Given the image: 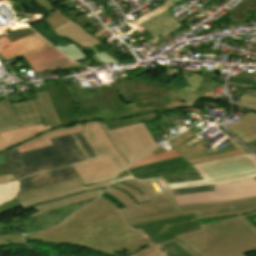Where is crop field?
<instances>
[{"label": "crop field", "mask_w": 256, "mask_h": 256, "mask_svg": "<svg viewBox=\"0 0 256 256\" xmlns=\"http://www.w3.org/2000/svg\"><path fill=\"white\" fill-rule=\"evenodd\" d=\"M35 100L12 104L18 121L42 116L45 126L62 127L47 91L34 93Z\"/></svg>", "instance_id": "14"}, {"label": "crop field", "mask_w": 256, "mask_h": 256, "mask_svg": "<svg viewBox=\"0 0 256 256\" xmlns=\"http://www.w3.org/2000/svg\"><path fill=\"white\" fill-rule=\"evenodd\" d=\"M19 192V180L0 184V205L15 198Z\"/></svg>", "instance_id": "27"}, {"label": "crop field", "mask_w": 256, "mask_h": 256, "mask_svg": "<svg viewBox=\"0 0 256 256\" xmlns=\"http://www.w3.org/2000/svg\"><path fill=\"white\" fill-rule=\"evenodd\" d=\"M22 54L34 72L77 66L36 33L14 44L0 48L5 60Z\"/></svg>", "instance_id": "9"}, {"label": "crop field", "mask_w": 256, "mask_h": 256, "mask_svg": "<svg viewBox=\"0 0 256 256\" xmlns=\"http://www.w3.org/2000/svg\"><path fill=\"white\" fill-rule=\"evenodd\" d=\"M249 147H251L256 152V143L249 145Z\"/></svg>", "instance_id": "49"}, {"label": "crop field", "mask_w": 256, "mask_h": 256, "mask_svg": "<svg viewBox=\"0 0 256 256\" xmlns=\"http://www.w3.org/2000/svg\"><path fill=\"white\" fill-rule=\"evenodd\" d=\"M50 126L37 124L30 127L0 133V153L9 150L43 132L50 130Z\"/></svg>", "instance_id": "20"}, {"label": "crop field", "mask_w": 256, "mask_h": 256, "mask_svg": "<svg viewBox=\"0 0 256 256\" xmlns=\"http://www.w3.org/2000/svg\"><path fill=\"white\" fill-rule=\"evenodd\" d=\"M53 30L57 36H67L82 47H91L100 43V41L81 28L73 20H69Z\"/></svg>", "instance_id": "23"}, {"label": "crop field", "mask_w": 256, "mask_h": 256, "mask_svg": "<svg viewBox=\"0 0 256 256\" xmlns=\"http://www.w3.org/2000/svg\"><path fill=\"white\" fill-rule=\"evenodd\" d=\"M9 179H12V174L11 175H5V176H0V183L1 182H7Z\"/></svg>", "instance_id": "46"}, {"label": "crop field", "mask_w": 256, "mask_h": 256, "mask_svg": "<svg viewBox=\"0 0 256 256\" xmlns=\"http://www.w3.org/2000/svg\"><path fill=\"white\" fill-rule=\"evenodd\" d=\"M183 76L189 86L176 91H169L158 85L129 80L136 102L124 105L133 113L179 106L193 107L202 98L227 99L209 93L214 83L213 80L186 71H183Z\"/></svg>", "instance_id": "5"}, {"label": "crop field", "mask_w": 256, "mask_h": 256, "mask_svg": "<svg viewBox=\"0 0 256 256\" xmlns=\"http://www.w3.org/2000/svg\"><path fill=\"white\" fill-rule=\"evenodd\" d=\"M106 192L126 207L122 208L121 211L127 219L178 209L217 206L256 200V197H252L226 202L177 206L169 188L161 178L147 181L128 180L110 186Z\"/></svg>", "instance_id": "4"}, {"label": "crop field", "mask_w": 256, "mask_h": 256, "mask_svg": "<svg viewBox=\"0 0 256 256\" xmlns=\"http://www.w3.org/2000/svg\"><path fill=\"white\" fill-rule=\"evenodd\" d=\"M85 186L114 179L121 172L108 155H102L73 165Z\"/></svg>", "instance_id": "15"}, {"label": "crop field", "mask_w": 256, "mask_h": 256, "mask_svg": "<svg viewBox=\"0 0 256 256\" xmlns=\"http://www.w3.org/2000/svg\"><path fill=\"white\" fill-rule=\"evenodd\" d=\"M214 191L174 196L178 205L225 201L256 196L254 178L213 186Z\"/></svg>", "instance_id": "11"}, {"label": "crop field", "mask_w": 256, "mask_h": 256, "mask_svg": "<svg viewBox=\"0 0 256 256\" xmlns=\"http://www.w3.org/2000/svg\"><path fill=\"white\" fill-rule=\"evenodd\" d=\"M71 135L52 139L54 146L18 154L17 148L9 150L15 180L33 173L60 168L81 160V153Z\"/></svg>", "instance_id": "6"}, {"label": "crop field", "mask_w": 256, "mask_h": 256, "mask_svg": "<svg viewBox=\"0 0 256 256\" xmlns=\"http://www.w3.org/2000/svg\"><path fill=\"white\" fill-rule=\"evenodd\" d=\"M132 228L143 229L158 245L129 256H197L192 250L173 238L177 234L199 229L193 214L175 219L134 225Z\"/></svg>", "instance_id": "7"}, {"label": "crop field", "mask_w": 256, "mask_h": 256, "mask_svg": "<svg viewBox=\"0 0 256 256\" xmlns=\"http://www.w3.org/2000/svg\"><path fill=\"white\" fill-rule=\"evenodd\" d=\"M75 136L77 137L81 145L84 147V149L86 150L90 158L95 157L94 153L92 152V150L90 149V147L88 146V144L86 143L82 135L80 133H77L75 134Z\"/></svg>", "instance_id": "40"}, {"label": "crop field", "mask_w": 256, "mask_h": 256, "mask_svg": "<svg viewBox=\"0 0 256 256\" xmlns=\"http://www.w3.org/2000/svg\"><path fill=\"white\" fill-rule=\"evenodd\" d=\"M202 121L198 120L187 132L168 141L181 157L129 169L128 172L137 179L162 176L167 183L197 180L201 178L190 164L246 153L244 148L231 137H229L231 142L228 145L213 153L204 147L208 142L203 138V142L190 148L182 144L198 133L195 128L201 125Z\"/></svg>", "instance_id": "3"}, {"label": "crop field", "mask_w": 256, "mask_h": 256, "mask_svg": "<svg viewBox=\"0 0 256 256\" xmlns=\"http://www.w3.org/2000/svg\"><path fill=\"white\" fill-rule=\"evenodd\" d=\"M255 74L240 72L237 78L231 77L230 83L239 86H256V81L253 80Z\"/></svg>", "instance_id": "30"}, {"label": "crop field", "mask_w": 256, "mask_h": 256, "mask_svg": "<svg viewBox=\"0 0 256 256\" xmlns=\"http://www.w3.org/2000/svg\"><path fill=\"white\" fill-rule=\"evenodd\" d=\"M64 121H65V123H66V125H67V126H71V125H73V124H76V123H77V121H76L75 117H72V118L66 119V120H64Z\"/></svg>", "instance_id": "45"}, {"label": "crop field", "mask_w": 256, "mask_h": 256, "mask_svg": "<svg viewBox=\"0 0 256 256\" xmlns=\"http://www.w3.org/2000/svg\"><path fill=\"white\" fill-rule=\"evenodd\" d=\"M64 13L61 11H58L52 15H50L45 21L50 25V27L53 29L57 27L58 25L64 23L65 21L69 20L66 17H64Z\"/></svg>", "instance_id": "34"}, {"label": "crop field", "mask_w": 256, "mask_h": 256, "mask_svg": "<svg viewBox=\"0 0 256 256\" xmlns=\"http://www.w3.org/2000/svg\"><path fill=\"white\" fill-rule=\"evenodd\" d=\"M152 156H154V154H152V153L150 152L148 155H146V156H144V157H142V158L138 159L137 161H140V160H143V159H146V158L152 157ZM137 161H135V162H137ZM133 163H134V162H133Z\"/></svg>", "instance_id": "47"}, {"label": "crop field", "mask_w": 256, "mask_h": 256, "mask_svg": "<svg viewBox=\"0 0 256 256\" xmlns=\"http://www.w3.org/2000/svg\"><path fill=\"white\" fill-rule=\"evenodd\" d=\"M250 214L198 220L201 229L177 235L184 245L198 256H240L256 250V227L245 217Z\"/></svg>", "instance_id": "2"}, {"label": "crop field", "mask_w": 256, "mask_h": 256, "mask_svg": "<svg viewBox=\"0 0 256 256\" xmlns=\"http://www.w3.org/2000/svg\"><path fill=\"white\" fill-rule=\"evenodd\" d=\"M101 193H103V191L95 190V191L87 192V193L77 195V196H74L71 198L62 199V200H58V201H54V202L36 206L35 210L37 212L34 213L33 215H31V219H33L34 217H36L38 215H41V214L49 212L51 210L60 208L65 205L77 203V202L84 201V200L91 199V198H95L98 195H100Z\"/></svg>", "instance_id": "25"}, {"label": "crop field", "mask_w": 256, "mask_h": 256, "mask_svg": "<svg viewBox=\"0 0 256 256\" xmlns=\"http://www.w3.org/2000/svg\"><path fill=\"white\" fill-rule=\"evenodd\" d=\"M213 190L212 186L172 190L174 195Z\"/></svg>", "instance_id": "37"}, {"label": "crop field", "mask_w": 256, "mask_h": 256, "mask_svg": "<svg viewBox=\"0 0 256 256\" xmlns=\"http://www.w3.org/2000/svg\"><path fill=\"white\" fill-rule=\"evenodd\" d=\"M73 137L75 139V145L77 146V148L80 150V152L82 153V155L84 156L85 159H88L89 156L87 155V153L85 152V150L83 149V147L80 145V143L78 142V140L76 139V137L73 134Z\"/></svg>", "instance_id": "43"}, {"label": "crop field", "mask_w": 256, "mask_h": 256, "mask_svg": "<svg viewBox=\"0 0 256 256\" xmlns=\"http://www.w3.org/2000/svg\"><path fill=\"white\" fill-rule=\"evenodd\" d=\"M56 48L75 61L86 58V56L74 44L66 47L56 46Z\"/></svg>", "instance_id": "31"}, {"label": "crop field", "mask_w": 256, "mask_h": 256, "mask_svg": "<svg viewBox=\"0 0 256 256\" xmlns=\"http://www.w3.org/2000/svg\"><path fill=\"white\" fill-rule=\"evenodd\" d=\"M203 180L168 184L170 189L199 187L256 177V159L242 154L192 165Z\"/></svg>", "instance_id": "8"}, {"label": "crop field", "mask_w": 256, "mask_h": 256, "mask_svg": "<svg viewBox=\"0 0 256 256\" xmlns=\"http://www.w3.org/2000/svg\"><path fill=\"white\" fill-rule=\"evenodd\" d=\"M13 173L10 165V160L8 152H3V155L0 154V175Z\"/></svg>", "instance_id": "35"}, {"label": "crop field", "mask_w": 256, "mask_h": 256, "mask_svg": "<svg viewBox=\"0 0 256 256\" xmlns=\"http://www.w3.org/2000/svg\"><path fill=\"white\" fill-rule=\"evenodd\" d=\"M27 236L41 242L77 245L111 256H126L155 245L143 231L130 228L122 213L100 197L56 228Z\"/></svg>", "instance_id": "1"}, {"label": "crop field", "mask_w": 256, "mask_h": 256, "mask_svg": "<svg viewBox=\"0 0 256 256\" xmlns=\"http://www.w3.org/2000/svg\"><path fill=\"white\" fill-rule=\"evenodd\" d=\"M251 19H256V6L251 11V13L245 18L243 22L248 23Z\"/></svg>", "instance_id": "44"}, {"label": "crop field", "mask_w": 256, "mask_h": 256, "mask_svg": "<svg viewBox=\"0 0 256 256\" xmlns=\"http://www.w3.org/2000/svg\"><path fill=\"white\" fill-rule=\"evenodd\" d=\"M18 122L6 98L0 100V126Z\"/></svg>", "instance_id": "28"}, {"label": "crop field", "mask_w": 256, "mask_h": 256, "mask_svg": "<svg viewBox=\"0 0 256 256\" xmlns=\"http://www.w3.org/2000/svg\"><path fill=\"white\" fill-rule=\"evenodd\" d=\"M131 178L133 177H131L129 173L125 170L123 173L119 174V176L114 180V182L111 185L131 179Z\"/></svg>", "instance_id": "41"}, {"label": "crop field", "mask_w": 256, "mask_h": 256, "mask_svg": "<svg viewBox=\"0 0 256 256\" xmlns=\"http://www.w3.org/2000/svg\"><path fill=\"white\" fill-rule=\"evenodd\" d=\"M130 117L131 113L122 105L105 111L79 116L78 119L80 122L99 120L101 124L105 123L111 130L133 124Z\"/></svg>", "instance_id": "19"}, {"label": "crop field", "mask_w": 256, "mask_h": 256, "mask_svg": "<svg viewBox=\"0 0 256 256\" xmlns=\"http://www.w3.org/2000/svg\"><path fill=\"white\" fill-rule=\"evenodd\" d=\"M142 25L151 33L146 42L155 44L161 36L176 30L183 26L167 11L142 23Z\"/></svg>", "instance_id": "21"}, {"label": "crop field", "mask_w": 256, "mask_h": 256, "mask_svg": "<svg viewBox=\"0 0 256 256\" xmlns=\"http://www.w3.org/2000/svg\"><path fill=\"white\" fill-rule=\"evenodd\" d=\"M35 32L28 30V29H21L19 31L12 32L8 35H5L10 43H14L20 39H23Z\"/></svg>", "instance_id": "36"}, {"label": "crop field", "mask_w": 256, "mask_h": 256, "mask_svg": "<svg viewBox=\"0 0 256 256\" xmlns=\"http://www.w3.org/2000/svg\"><path fill=\"white\" fill-rule=\"evenodd\" d=\"M76 90L85 109L97 106L99 111H101L123 104L114 83H110L104 87Z\"/></svg>", "instance_id": "17"}, {"label": "crop field", "mask_w": 256, "mask_h": 256, "mask_svg": "<svg viewBox=\"0 0 256 256\" xmlns=\"http://www.w3.org/2000/svg\"><path fill=\"white\" fill-rule=\"evenodd\" d=\"M179 0H167L163 5L153 10L157 15L171 8L174 4H176Z\"/></svg>", "instance_id": "38"}, {"label": "crop field", "mask_w": 256, "mask_h": 256, "mask_svg": "<svg viewBox=\"0 0 256 256\" xmlns=\"http://www.w3.org/2000/svg\"><path fill=\"white\" fill-rule=\"evenodd\" d=\"M106 31H107V30L104 28V29H102L100 32L94 34V36L99 37L100 35H102V34H103L104 32H106Z\"/></svg>", "instance_id": "48"}, {"label": "crop field", "mask_w": 256, "mask_h": 256, "mask_svg": "<svg viewBox=\"0 0 256 256\" xmlns=\"http://www.w3.org/2000/svg\"><path fill=\"white\" fill-rule=\"evenodd\" d=\"M82 127H83V123H80L77 125H73L71 127L56 128L54 130H50V131L43 133V134L31 139L30 141L18 146L17 147L18 152L21 153V152L38 149V148L51 146L52 143H51L50 139L68 135V134H72V133L81 132Z\"/></svg>", "instance_id": "22"}, {"label": "crop field", "mask_w": 256, "mask_h": 256, "mask_svg": "<svg viewBox=\"0 0 256 256\" xmlns=\"http://www.w3.org/2000/svg\"><path fill=\"white\" fill-rule=\"evenodd\" d=\"M174 111H188V109L175 110V108H171V109L154 110V111H147V112H141V113H133L131 119L135 124L138 122H145V121L157 119L158 116L156 113L174 112Z\"/></svg>", "instance_id": "29"}, {"label": "crop field", "mask_w": 256, "mask_h": 256, "mask_svg": "<svg viewBox=\"0 0 256 256\" xmlns=\"http://www.w3.org/2000/svg\"><path fill=\"white\" fill-rule=\"evenodd\" d=\"M102 127L128 163L158 146L143 123L125 126L112 131H109L105 124Z\"/></svg>", "instance_id": "10"}, {"label": "crop field", "mask_w": 256, "mask_h": 256, "mask_svg": "<svg viewBox=\"0 0 256 256\" xmlns=\"http://www.w3.org/2000/svg\"><path fill=\"white\" fill-rule=\"evenodd\" d=\"M242 120L226 128L247 145L256 142V113H248Z\"/></svg>", "instance_id": "24"}, {"label": "crop field", "mask_w": 256, "mask_h": 256, "mask_svg": "<svg viewBox=\"0 0 256 256\" xmlns=\"http://www.w3.org/2000/svg\"><path fill=\"white\" fill-rule=\"evenodd\" d=\"M97 58H99L102 62L104 63H117L116 61H114L112 58H110L107 54H105L104 52H101L97 55H95Z\"/></svg>", "instance_id": "42"}, {"label": "crop field", "mask_w": 256, "mask_h": 256, "mask_svg": "<svg viewBox=\"0 0 256 256\" xmlns=\"http://www.w3.org/2000/svg\"><path fill=\"white\" fill-rule=\"evenodd\" d=\"M12 244H23V238L18 234L0 235V247L12 245Z\"/></svg>", "instance_id": "33"}, {"label": "crop field", "mask_w": 256, "mask_h": 256, "mask_svg": "<svg viewBox=\"0 0 256 256\" xmlns=\"http://www.w3.org/2000/svg\"><path fill=\"white\" fill-rule=\"evenodd\" d=\"M77 177V174L71 166L53 171L38 173L20 180V192Z\"/></svg>", "instance_id": "18"}, {"label": "crop field", "mask_w": 256, "mask_h": 256, "mask_svg": "<svg viewBox=\"0 0 256 256\" xmlns=\"http://www.w3.org/2000/svg\"><path fill=\"white\" fill-rule=\"evenodd\" d=\"M254 210H256V201H251V202L230 204V205L217 206V207L179 210L175 212H169V213L131 219V220H128V222L130 223V225H133V224L150 222L154 220L174 218V217L191 214V213H194L197 220L210 219V218L242 215V214L250 213Z\"/></svg>", "instance_id": "12"}, {"label": "crop field", "mask_w": 256, "mask_h": 256, "mask_svg": "<svg viewBox=\"0 0 256 256\" xmlns=\"http://www.w3.org/2000/svg\"><path fill=\"white\" fill-rule=\"evenodd\" d=\"M82 135L96 156L108 153L120 169L127 167L128 163L110 141L98 121L84 123Z\"/></svg>", "instance_id": "16"}, {"label": "crop field", "mask_w": 256, "mask_h": 256, "mask_svg": "<svg viewBox=\"0 0 256 256\" xmlns=\"http://www.w3.org/2000/svg\"><path fill=\"white\" fill-rule=\"evenodd\" d=\"M31 1H33L36 4L40 5L41 7H43L48 12L57 10V8L55 6H53V5H51L50 2L47 1V0H31Z\"/></svg>", "instance_id": "39"}, {"label": "crop field", "mask_w": 256, "mask_h": 256, "mask_svg": "<svg viewBox=\"0 0 256 256\" xmlns=\"http://www.w3.org/2000/svg\"><path fill=\"white\" fill-rule=\"evenodd\" d=\"M78 185H82V182L79 178L74 179V180L60 182V183H55V184L47 185V186L40 187L37 189H33V190H30L27 192H23V193H20L16 197V199H17V201H20L23 199H27V198H31V197H35V196H39V195L67 189V188H71V187L78 186Z\"/></svg>", "instance_id": "26"}, {"label": "crop field", "mask_w": 256, "mask_h": 256, "mask_svg": "<svg viewBox=\"0 0 256 256\" xmlns=\"http://www.w3.org/2000/svg\"><path fill=\"white\" fill-rule=\"evenodd\" d=\"M71 88L73 90V95L81 109V111H76L75 105L63 83L62 79L59 80H52V81H46L44 82L52 99L53 105L55 107L56 113L58 115V118L64 127L65 124L63 122L64 119L72 117V116H79L83 114L93 113L97 112V107L84 110L81 104V101L76 93L75 87L71 81L70 78H67ZM77 119V117H76ZM78 123L79 120L77 119Z\"/></svg>", "instance_id": "13"}, {"label": "crop field", "mask_w": 256, "mask_h": 256, "mask_svg": "<svg viewBox=\"0 0 256 256\" xmlns=\"http://www.w3.org/2000/svg\"><path fill=\"white\" fill-rule=\"evenodd\" d=\"M178 156L179 155L177 154V152L175 150H173V151H169V152L157 155L155 157L131 164L128 168H132V167H136V166H140V165H144V164H148V163H152V162H156V161H160V160H165V159H169V158H174V157H178Z\"/></svg>", "instance_id": "32"}]
</instances>
